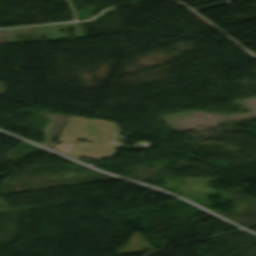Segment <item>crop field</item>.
I'll list each match as a JSON object with an SVG mask.
<instances>
[{"label": "crop field", "mask_w": 256, "mask_h": 256, "mask_svg": "<svg viewBox=\"0 0 256 256\" xmlns=\"http://www.w3.org/2000/svg\"><path fill=\"white\" fill-rule=\"evenodd\" d=\"M67 121H70L67 123ZM59 134V140L72 143L59 142L53 148L74 158L81 156L100 159L111 157L116 146L122 143L114 141L120 133L114 122L86 119L69 116ZM77 138L92 141L90 144L76 141Z\"/></svg>", "instance_id": "1"}, {"label": "crop field", "mask_w": 256, "mask_h": 256, "mask_svg": "<svg viewBox=\"0 0 256 256\" xmlns=\"http://www.w3.org/2000/svg\"><path fill=\"white\" fill-rule=\"evenodd\" d=\"M71 26L75 28V30H73V38L85 37L78 23L40 26L35 28L40 41L42 36H45L46 40L69 38L67 28ZM61 30H65L66 36L62 35Z\"/></svg>", "instance_id": "2"}, {"label": "crop field", "mask_w": 256, "mask_h": 256, "mask_svg": "<svg viewBox=\"0 0 256 256\" xmlns=\"http://www.w3.org/2000/svg\"><path fill=\"white\" fill-rule=\"evenodd\" d=\"M0 93H5L2 82H0Z\"/></svg>", "instance_id": "3"}]
</instances>
